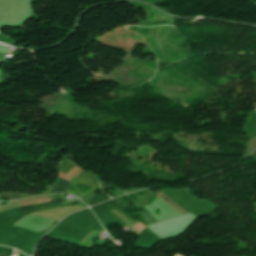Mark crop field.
<instances>
[{"label":"crop field","mask_w":256,"mask_h":256,"mask_svg":"<svg viewBox=\"0 0 256 256\" xmlns=\"http://www.w3.org/2000/svg\"><path fill=\"white\" fill-rule=\"evenodd\" d=\"M158 196H160L161 198H166V196L164 195V194H162V193H159L158 194ZM169 199V198H168ZM167 203H169L171 206H173L175 209H177L179 212H181L182 214H186L187 212H185L182 208H180L176 203H174L172 200H168V201H166ZM176 210V211H177ZM177 211V212H178ZM180 213V214H181ZM181 214V215H182Z\"/></svg>","instance_id":"3"},{"label":"crop field","mask_w":256,"mask_h":256,"mask_svg":"<svg viewBox=\"0 0 256 256\" xmlns=\"http://www.w3.org/2000/svg\"><path fill=\"white\" fill-rule=\"evenodd\" d=\"M1 198L16 199L19 198L18 194L2 193Z\"/></svg>","instance_id":"5"},{"label":"crop field","mask_w":256,"mask_h":256,"mask_svg":"<svg viewBox=\"0 0 256 256\" xmlns=\"http://www.w3.org/2000/svg\"><path fill=\"white\" fill-rule=\"evenodd\" d=\"M140 215L147 221L148 225L157 222V220L148 211L142 212Z\"/></svg>","instance_id":"4"},{"label":"crop field","mask_w":256,"mask_h":256,"mask_svg":"<svg viewBox=\"0 0 256 256\" xmlns=\"http://www.w3.org/2000/svg\"><path fill=\"white\" fill-rule=\"evenodd\" d=\"M125 225L131 227L133 224H135L136 222L129 220L125 215H123L122 213H119L117 211L113 212ZM146 226H144L141 223H136L134 226H132L131 228L135 229L136 231H140L141 229L145 228Z\"/></svg>","instance_id":"2"},{"label":"crop field","mask_w":256,"mask_h":256,"mask_svg":"<svg viewBox=\"0 0 256 256\" xmlns=\"http://www.w3.org/2000/svg\"><path fill=\"white\" fill-rule=\"evenodd\" d=\"M60 177L66 179L69 181V178L68 176L64 175V174H61L59 175ZM57 180L56 184L51 188V192L52 193H58V192H67V188L69 186V182L60 178Z\"/></svg>","instance_id":"1"},{"label":"crop field","mask_w":256,"mask_h":256,"mask_svg":"<svg viewBox=\"0 0 256 256\" xmlns=\"http://www.w3.org/2000/svg\"><path fill=\"white\" fill-rule=\"evenodd\" d=\"M4 55H5V54H0V59H3V58H4Z\"/></svg>","instance_id":"6"}]
</instances>
